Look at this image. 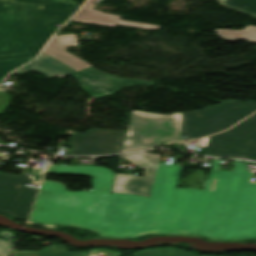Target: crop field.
Segmentation results:
<instances>
[{
    "mask_svg": "<svg viewBox=\"0 0 256 256\" xmlns=\"http://www.w3.org/2000/svg\"><path fill=\"white\" fill-rule=\"evenodd\" d=\"M214 159L204 190L179 188L182 167L158 163L150 198L109 193L114 172L95 166L52 165L46 173L94 176L93 191L70 192L42 182L30 223L64 224L109 237L193 233L216 239L256 238V183L236 160L233 172ZM256 164V163H253Z\"/></svg>",
    "mask_w": 256,
    "mask_h": 256,
    "instance_id": "1",
    "label": "crop field"
},
{
    "mask_svg": "<svg viewBox=\"0 0 256 256\" xmlns=\"http://www.w3.org/2000/svg\"><path fill=\"white\" fill-rule=\"evenodd\" d=\"M67 19L0 20V60L36 56Z\"/></svg>",
    "mask_w": 256,
    "mask_h": 256,
    "instance_id": "2",
    "label": "crop field"
},
{
    "mask_svg": "<svg viewBox=\"0 0 256 256\" xmlns=\"http://www.w3.org/2000/svg\"><path fill=\"white\" fill-rule=\"evenodd\" d=\"M76 34L54 37L43 52L78 70L76 77L84 90L95 98L108 96L117 90L136 84L151 85L154 82L124 79L96 71L86 62L65 52L67 45H77Z\"/></svg>",
    "mask_w": 256,
    "mask_h": 256,
    "instance_id": "3",
    "label": "crop field"
},
{
    "mask_svg": "<svg viewBox=\"0 0 256 256\" xmlns=\"http://www.w3.org/2000/svg\"><path fill=\"white\" fill-rule=\"evenodd\" d=\"M182 113L170 116L133 111L122 152H132L154 145L181 141Z\"/></svg>",
    "mask_w": 256,
    "mask_h": 256,
    "instance_id": "4",
    "label": "crop field"
},
{
    "mask_svg": "<svg viewBox=\"0 0 256 256\" xmlns=\"http://www.w3.org/2000/svg\"><path fill=\"white\" fill-rule=\"evenodd\" d=\"M197 111L193 114L183 113L182 134H188V139L225 130L256 111V102L245 105L240 101L228 100L217 107L209 106Z\"/></svg>",
    "mask_w": 256,
    "mask_h": 256,
    "instance_id": "5",
    "label": "crop field"
},
{
    "mask_svg": "<svg viewBox=\"0 0 256 256\" xmlns=\"http://www.w3.org/2000/svg\"><path fill=\"white\" fill-rule=\"evenodd\" d=\"M206 155L256 161V114L228 131L210 137Z\"/></svg>",
    "mask_w": 256,
    "mask_h": 256,
    "instance_id": "6",
    "label": "crop field"
},
{
    "mask_svg": "<svg viewBox=\"0 0 256 256\" xmlns=\"http://www.w3.org/2000/svg\"><path fill=\"white\" fill-rule=\"evenodd\" d=\"M79 7L72 0H0V19L70 17Z\"/></svg>",
    "mask_w": 256,
    "mask_h": 256,
    "instance_id": "7",
    "label": "crop field"
},
{
    "mask_svg": "<svg viewBox=\"0 0 256 256\" xmlns=\"http://www.w3.org/2000/svg\"><path fill=\"white\" fill-rule=\"evenodd\" d=\"M33 182L25 174L19 177L0 173V211L12 218L26 220L38 189L24 185Z\"/></svg>",
    "mask_w": 256,
    "mask_h": 256,
    "instance_id": "8",
    "label": "crop field"
},
{
    "mask_svg": "<svg viewBox=\"0 0 256 256\" xmlns=\"http://www.w3.org/2000/svg\"><path fill=\"white\" fill-rule=\"evenodd\" d=\"M123 158L143 169V177L115 174L110 192L149 196L159 156L137 153L123 155Z\"/></svg>",
    "mask_w": 256,
    "mask_h": 256,
    "instance_id": "9",
    "label": "crop field"
},
{
    "mask_svg": "<svg viewBox=\"0 0 256 256\" xmlns=\"http://www.w3.org/2000/svg\"><path fill=\"white\" fill-rule=\"evenodd\" d=\"M126 132L90 130L87 136L74 133L70 155L114 154L121 151Z\"/></svg>",
    "mask_w": 256,
    "mask_h": 256,
    "instance_id": "10",
    "label": "crop field"
},
{
    "mask_svg": "<svg viewBox=\"0 0 256 256\" xmlns=\"http://www.w3.org/2000/svg\"><path fill=\"white\" fill-rule=\"evenodd\" d=\"M94 4L92 2H87L85 6L79 10V12L74 16L71 21L75 22H82L86 24H97L103 25L108 27H114L116 24L126 25V26H133L139 28H145L149 30L158 29L157 26L136 23V22H129V21H122L120 20V16L118 15H111V14H103L98 11L93 10Z\"/></svg>",
    "mask_w": 256,
    "mask_h": 256,
    "instance_id": "11",
    "label": "crop field"
},
{
    "mask_svg": "<svg viewBox=\"0 0 256 256\" xmlns=\"http://www.w3.org/2000/svg\"><path fill=\"white\" fill-rule=\"evenodd\" d=\"M31 70L41 73L49 78L55 75L64 77L77 72L71 69L70 67L56 61L55 59L48 56L47 54L41 53L40 56L35 61L14 71L13 74L23 75Z\"/></svg>",
    "mask_w": 256,
    "mask_h": 256,
    "instance_id": "12",
    "label": "crop field"
},
{
    "mask_svg": "<svg viewBox=\"0 0 256 256\" xmlns=\"http://www.w3.org/2000/svg\"><path fill=\"white\" fill-rule=\"evenodd\" d=\"M99 252H105L106 256H119L117 252L96 249L91 251L89 255L84 253H69L65 246L45 249L41 251H16L15 256H96Z\"/></svg>",
    "mask_w": 256,
    "mask_h": 256,
    "instance_id": "13",
    "label": "crop field"
},
{
    "mask_svg": "<svg viewBox=\"0 0 256 256\" xmlns=\"http://www.w3.org/2000/svg\"><path fill=\"white\" fill-rule=\"evenodd\" d=\"M215 32L222 39L230 42H236L237 39H244L248 42H256V26H246L243 30L240 31L216 29ZM240 34L243 36L238 37Z\"/></svg>",
    "mask_w": 256,
    "mask_h": 256,
    "instance_id": "14",
    "label": "crop field"
},
{
    "mask_svg": "<svg viewBox=\"0 0 256 256\" xmlns=\"http://www.w3.org/2000/svg\"><path fill=\"white\" fill-rule=\"evenodd\" d=\"M223 5L256 16V0H220Z\"/></svg>",
    "mask_w": 256,
    "mask_h": 256,
    "instance_id": "15",
    "label": "crop field"
},
{
    "mask_svg": "<svg viewBox=\"0 0 256 256\" xmlns=\"http://www.w3.org/2000/svg\"><path fill=\"white\" fill-rule=\"evenodd\" d=\"M134 256H196L185 251H176L172 249L142 251L134 254Z\"/></svg>",
    "mask_w": 256,
    "mask_h": 256,
    "instance_id": "16",
    "label": "crop field"
},
{
    "mask_svg": "<svg viewBox=\"0 0 256 256\" xmlns=\"http://www.w3.org/2000/svg\"><path fill=\"white\" fill-rule=\"evenodd\" d=\"M0 236H3L7 239L6 242L0 240V256H11L14 244V234L2 231L0 232Z\"/></svg>",
    "mask_w": 256,
    "mask_h": 256,
    "instance_id": "17",
    "label": "crop field"
},
{
    "mask_svg": "<svg viewBox=\"0 0 256 256\" xmlns=\"http://www.w3.org/2000/svg\"><path fill=\"white\" fill-rule=\"evenodd\" d=\"M32 59V58H31ZM31 59L0 62V80L10 71L18 68Z\"/></svg>",
    "mask_w": 256,
    "mask_h": 256,
    "instance_id": "18",
    "label": "crop field"
},
{
    "mask_svg": "<svg viewBox=\"0 0 256 256\" xmlns=\"http://www.w3.org/2000/svg\"><path fill=\"white\" fill-rule=\"evenodd\" d=\"M49 164H46L44 168L41 169H34L31 172V178H33L35 181L39 182L40 181V176L42 175V173L44 172V170L48 167Z\"/></svg>",
    "mask_w": 256,
    "mask_h": 256,
    "instance_id": "19",
    "label": "crop field"
},
{
    "mask_svg": "<svg viewBox=\"0 0 256 256\" xmlns=\"http://www.w3.org/2000/svg\"><path fill=\"white\" fill-rule=\"evenodd\" d=\"M193 112H196V111H193ZM193 112H192V113H193Z\"/></svg>",
    "mask_w": 256,
    "mask_h": 256,
    "instance_id": "20",
    "label": "crop field"
}]
</instances>
